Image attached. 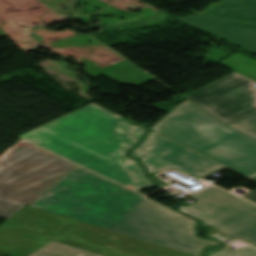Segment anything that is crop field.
Here are the masks:
<instances>
[{"mask_svg": "<svg viewBox=\"0 0 256 256\" xmlns=\"http://www.w3.org/2000/svg\"><path fill=\"white\" fill-rule=\"evenodd\" d=\"M144 131L91 103L19 138L139 191L155 182L126 153Z\"/></svg>", "mask_w": 256, "mask_h": 256, "instance_id": "crop-field-1", "label": "crop field"}, {"mask_svg": "<svg viewBox=\"0 0 256 256\" xmlns=\"http://www.w3.org/2000/svg\"><path fill=\"white\" fill-rule=\"evenodd\" d=\"M145 198L78 167L29 206L108 229Z\"/></svg>", "mask_w": 256, "mask_h": 256, "instance_id": "crop-field-2", "label": "crop field"}, {"mask_svg": "<svg viewBox=\"0 0 256 256\" xmlns=\"http://www.w3.org/2000/svg\"><path fill=\"white\" fill-rule=\"evenodd\" d=\"M151 129L248 177L256 175V141L231 131L187 100Z\"/></svg>", "mask_w": 256, "mask_h": 256, "instance_id": "crop-field-3", "label": "crop field"}, {"mask_svg": "<svg viewBox=\"0 0 256 256\" xmlns=\"http://www.w3.org/2000/svg\"><path fill=\"white\" fill-rule=\"evenodd\" d=\"M75 165L23 142L0 160V217L8 219Z\"/></svg>", "mask_w": 256, "mask_h": 256, "instance_id": "crop-field-4", "label": "crop field"}, {"mask_svg": "<svg viewBox=\"0 0 256 256\" xmlns=\"http://www.w3.org/2000/svg\"><path fill=\"white\" fill-rule=\"evenodd\" d=\"M195 227V222L146 198L109 230L196 256L207 246L221 245L197 237Z\"/></svg>", "mask_w": 256, "mask_h": 256, "instance_id": "crop-field-5", "label": "crop field"}, {"mask_svg": "<svg viewBox=\"0 0 256 256\" xmlns=\"http://www.w3.org/2000/svg\"><path fill=\"white\" fill-rule=\"evenodd\" d=\"M192 197L199 202L178 210L256 247V205L215 186Z\"/></svg>", "mask_w": 256, "mask_h": 256, "instance_id": "crop-field-6", "label": "crop field"}, {"mask_svg": "<svg viewBox=\"0 0 256 256\" xmlns=\"http://www.w3.org/2000/svg\"><path fill=\"white\" fill-rule=\"evenodd\" d=\"M255 84L234 73L186 98L228 125L256 111Z\"/></svg>", "mask_w": 256, "mask_h": 256, "instance_id": "crop-field-7", "label": "crop field"}, {"mask_svg": "<svg viewBox=\"0 0 256 256\" xmlns=\"http://www.w3.org/2000/svg\"><path fill=\"white\" fill-rule=\"evenodd\" d=\"M130 155L140 159L149 173L175 168L200 179L223 167L152 131Z\"/></svg>", "mask_w": 256, "mask_h": 256, "instance_id": "crop-field-8", "label": "crop field"}, {"mask_svg": "<svg viewBox=\"0 0 256 256\" xmlns=\"http://www.w3.org/2000/svg\"><path fill=\"white\" fill-rule=\"evenodd\" d=\"M177 18L256 54V24L212 19L194 15L187 18Z\"/></svg>", "mask_w": 256, "mask_h": 256, "instance_id": "crop-field-9", "label": "crop field"}, {"mask_svg": "<svg viewBox=\"0 0 256 256\" xmlns=\"http://www.w3.org/2000/svg\"><path fill=\"white\" fill-rule=\"evenodd\" d=\"M190 11L196 15L256 22V0H220L207 4L203 11Z\"/></svg>", "mask_w": 256, "mask_h": 256, "instance_id": "crop-field-10", "label": "crop field"}, {"mask_svg": "<svg viewBox=\"0 0 256 256\" xmlns=\"http://www.w3.org/2000/svg\"><path fill=\"white\" fill-rule=\"evenodd\" d=\"M30 256H100V255L78 250V249L52 241L47 245H45L44 247L40 248L37 252H35Z\"/></svg>", "mask_w": 256, "mask_h": 256, "instance_id": "crop-field-11", "label": "crop field"}, {"mask_svg": "<svg viewBox=\"0 0 256 256\" xmlns=\"http://www.w3.org/2000/svg\"><path fill=\"white\" fill-rule=\"evenodd\" d=\"M229 126L256 140V112Z\"/></svg>", "mask_w": 256, "mask_h": 256, "instance_id": "crop-field-12", "label": "crop field"}, {"mask_svg": "<svg viewBox=\"0 0 256 256\" xmlns=\"http://www.w3.org/2000/svg\"><path fill=\"white\" fill-rule=\"evenodd\" d=\"M143 256H192V255L151 244Z\"/></svg>", "mask_w": 256, "mask_h": 256, "instance_id": "crop-field-13", "label": "crop field"}, {"mask_svg": "<svg viewBox=\"0 0 256 256\" xmlns=\"http://www.w3.org/2000/svg\"><path fill=\"white\" fill-rule=\"evenodd\" d=\"M211 256H256V249H254L250 246H247V247L240 249L234 253L221 251V252L216 253Z\"/></svg>", "mask_w": 256, "mask_h": 256, "instance_id": "crop-field-14", "label": "crop field"}, {"mask_svg": "<svg viewBox=\"0 0 256 256\" xmlns=\"http://www.w3.org/2000/svg\"><path fill=\"white\" fill-rule=\"evenodd\" d=\"M254 179H256V178H254ZM243 197H245V198H247V199L256 203V190L247 194V195H245V196H243Z\"/></svg>", "mask_w": 256, "mask_h": 256, "instance_id": "crop-field-15", "label": "crop field"}, {"mask_svg": "<svg viewBox=\"0 0 256 256\" xmlns=\"http://www.w3.org/2000/svg\"><path fill=\"white\" fill-rule=\"evenodd\" d=\"M0 36H6V35L0 30Z\"/></svg>", "mask_w": 256, "mask_h": 256, "instance_id": "crop-field-16", "label": "crop field"}]
</instances>
